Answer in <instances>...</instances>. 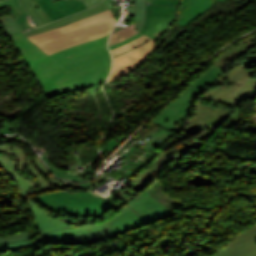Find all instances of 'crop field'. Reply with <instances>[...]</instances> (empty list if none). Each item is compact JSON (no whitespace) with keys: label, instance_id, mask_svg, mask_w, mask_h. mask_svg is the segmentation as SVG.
I'll return each mask as SVG.
<instances>
[{"label":"crop field","instance_id":"8a807250","mask_svg":"<svg viewBox=\"0 0 256 256\" xmlns=\"http://www.w3.org/2000/svg\"><path fill=\"white\" fill-rule=\"evenodd\" d=\"M109 36V35H108ZM108 36L48 56L22 33L9 36L48 98L95 85L111 67Z\"/></svg>","mask_w":256,"mask_h":256},{"label":"crop field","instance_id":"ac0d7876","mask_svg":"<svg viewBox=\"0 0 256 256\" xmlns=\"http://www.w3.org/2000/svg\"><path fill=\"white\" fill-rule=\"evenodd\" d=\"M251 74V70L236 65L229 71L227 85L209 89L199 96L195 102V114L189 119L187 128L131 179L128 185L140 191L147 188L164 165L183 159L185 153L204 146L231 113L222 106L203 107L201 99L215 103L221 101L222 104L232 103L234 107L244 100L254 99L256 80L252 79Z\"/></svg>","mask_w":256,"mask_h":256},{"label":"crop field","instance_id":"34b2d1b8","mask_svg":"<svg viewBox=\"0 0 256 256\" xmlns=\"http://www.w3.org/2000/svg\"><path fill=\"white\" fill-rule=\"evenodd\" d=\"M116 23L111 10L61 28L28 37L48 55L82 42L108 35Z\"/></svg>","mask_w":256,"mask_h":256},{"label":"crop field","instance_id":"412701ff","mask_svg":"<svg viewBox=\"0 0 256 256\" xmlns=\"http://www.w3.org/2000/svg\"><path fill=\"white\" fill-rule=\"evenodd\" d=\"M36 198L57 214L93 219L106 216L116 202L100 199L88 191H54L38 195Z\"/></svg>","mask_w":256,"mask_h":256},{"label":"crop field","instance_id":"f4fd0767","mask_svg":"<svg viewBox=\"0 0 256 256\" xmlns=\"http://www.w3.org/2000/svg\"><path fill=\"white\" fill-rule=\"evenodd\" d=\"M204 74L194 79L188 86L187 91L178 99L172 101L159 114L150 121L161 125L178 134L183 124V119L190 112L192 99L213 83L223 82L225 72L212 65Z\"/></svg>","mask_w":256,"mask_h":256},{"label":"crop field","instance_id":"dd49c442","mask_svg":"<svg viewBox=\"0 0 256 256\" xmlns=\"http://www.w3.org/2000/svg\"><path fill=\"white\" fill-rule=\"evenodd\" d=\"M27 203L34 216V224L42 235L33 238L38 243L76 244L73 236L108 229L106 223L91 226H72L64 220L55 218L42 209L32 199Z\"/></svg>","mask_w":256,"mask_h":256},{"label":"crop field","instance_id":"e52e79f7","mask_svg":"<svg viewBox=\"0 0 256 256\" xmlns=\"http://www.w3.org/2000/svg\"><path fill=\"white\" fill-rule=\"evenodd\" d=\"M172 212L161 202L142 193L122 208L120 214L106 223L118 236L140 225L155 222Z\"/></svg>","mask_w":256,"mask_h":256},{"label":"crop field","instance_id":"d8731c3e","mask_svg":"<svg viewBox=\"0 0 256 256\" xmlns=\"http://www.w3.org/2000/svg\"><path fill=\"white\" fill-rule=\"evenodd\" d=\"M180 0H146V22L140 32L158 40L175 21Z\"/></svg>","mask_w":256,"mask_h":256},{"label":"crop field","instance_id":"5a996713","mask_svg":"<svg viewBox=\"0 0 256 256\" xmlns=\"http://www.w3.org/2000/svg\"><path fill=\"white\" fill-rule=\"evenodd\" d=\"M154 47L155 41L151 40L122 56L114 58L109 81L119 79L142 65L149 57L150 53L154 50Z\"/></svg>","mask_w":256,"mask_h":256},{"label":"crop field","instance_id":"3316defc","mask_svg":"<svg viewBox=\"0 0 256 256\" xmlns=\"http://www.w3.org/2000/svg\"><path fill=\"white\" fill-rule=\"evenodd\" d=\"M4 138H7L9 140L23 142L32 152L33 156H31L27 162V165L30 167L28 171L32 173L33 176L37 177L39 179L40 187L37 191V193L57 189V188H64L68 187L69 185L55 179L51 173L48 171V169L44 166L40 158L37 156V154L34 152V150L20 137L18 136H2Z\"/></svg>","mask_w":256,"mask_h":256},{"label":"crop field","instance_id":"28ad6ade","mask_svg":"<svg viewBox=\"0 0 256 256\" xmlns=\"http://www.w3.org/2000/svg\"><path fill=\"white\" fill-rule=\"evenodd\" d=\"M231 256H256V223L229 243Z\"/></svg>","mask_w":256,"mask_h":256},{"label":"crop field","instance_id":"d1516ede","mask_svg":"<svg viewBox=\"0 0 256 256\" xmlns=\"http://www.w3.org/2000/svg\"><path fill=\"white\" fill-rule=\"evenodd\" d=\"M213 0H182V5L179 10L178 25L184 27L196 17L200 16L205 10H207Z\"/></svg>","mask_w":256,"mask_h":256},{"label":"crop field","instance_id":"22f410ed","mask_svg":"<svg viewBox=\"0 0 256 256\" xmlns=\"http://www.w3.org/2000/svg\"><path fill=\"white\" fill-rule=\"evenodd\" d=\"M106 10H109V7L107 6L105 1L103 0L99 5L93 7L89 10L83 11L79 14L72 15V16H69V17H66V18H63V19H60V20H57V21H55L51 24H48V25H45V26H42V27H39V28H35V29L29 30L27 32H23V34L26 37L31 36V35H35V34L44 32V31L52 29V28H56V27H60L62 25L70 24L72 22L78 21V20H80L82 18H85L87 16L97 14V13H100V12H103V11H106Z\"/></svg>","mask_w":256,"mask_h":256},{"label":"crop field","instance_id":"cbeb9de0","mask_svg":"<svg viewBox=\"0 0 256 256\" xmlns=\"http://www.w3.org/2000/svg\"><path fill=\"white\" fill-rule=\"evenodd\" d=\"M14 162L7 156H0V169L4 171L18 186L23 197L30 196V190L35 186L30 181L22 178L14 170Z\"/></svg>","mask_w":256,"mask_h":256},{"label":"crop field","instance_id":"5142ce71","mask_svg":"<svg viewBox=\"0 0 256 256\" xmlns=\"http://www.w3.org/2000/svg\"><path fill=\"white\" fill-rule=\"evenodd\" d=\"M11 5L19 29L26 31L35 27L20 0H0V8Z\"/></svg>","mask_w":256,"mask_h":256},{"label":"crop field","instance_id":"d9b57169","mask_svg":"<svg viewBox=\"0 0 256 256\" xmlns=\"http://www.w3.org/2000/svg\"><path fill=\"white\" fill-rule=\"evenodd\" d=\"M28 238L30 237L26 231L10 235L7 237H0V252L11 251L22 248L24 246L34 245L35 243H33Z\"/></svg>","mask_w":256,"mask_h":256},{"label":"crop field","instance_id":"733c2abd","mask_svg":"<svg viewBox=\"0 0 256 256\" xmlns=\"http://www.w3.org/2000/svg\"><path fill=\"white\" fill-rule=\"evenodd\" d=\"M139 33L135 30V23L128 25L126 27H123L122 29L112 33L110 39H109V46L117 43L123 39H126L130 36H133L135 34Z\"/></svg>","mask_w":256,"mask_h":256},{"label":"crop field","instance_id":"4a817a6b","mask_svg":"<svg viewBox=\"0 0 256 256\" xmlns=\"http://www.w3.org/2000/svg\"><path fill=\"white\" fill-rule=\"evenodd\" d=\"M30 14L33 22L35 23L36 27L48 23V21L43 17L41 12L38 10V8L34 5V3L31 0H21Z\"/></svg>","mask_w":256,"mask_h":256},{"label":"crop field","instance_id":"bc2a9ffb","mask_svg":"<svg viewBox=\"0 0 256 256\" xmlns=\"http://www.w3.org/2000/svg\"><path fill=\"white\" fill-rule=\"evenodd\" d=\"M136 30L140 31L145 22V0L135 2Z\"/></svg>","mask_w":256,"mask_h":256},{"label":"crop field","instance_id":"214f88e0","mask_svg":"<svg viewBox=\"0 0 256 256\" xmlns=\"http://www.w3.org/2000/svg\"><path fill=\"white\" fill-rule=\"evenodd\" d=\"M128 137L122 136L120 138H117L113 141L108 142L102 149L101 154H103L105 157H108L110 154H112Z\"/></svg>","mask_w":256,"mask_h":256},{"label":"crop field","instance_id":"92a150f3","mask_svg":"<svg viewBox=\"0 0 256 256\" xmlns=\"http://www.w3.org/2000/svg\"><path fill=\"white\" fill-rule=\"evenodd\" d=\"M148 39H150V38L145 36V35H143V36H141V37H139V38H137V39L127 43V44H124L122 46H119V47L111 50V53L114 56V55H116V54H118L120 52H123L125 50L130 49V48H133V47L137 46L138 44H140V43H142V42H144V41H146Z\"/></svg>","mask_w":256,"mask_h":256},{"label":"crop field","instance_id":"dafd665d","mask_svg":"<svg viewBox=\"0 0 256 256\" xmlns=\"http://www.w3.org/2000/svg\"><path fill=\"white\" fill-rule=\"evenodd\" d=\"M117 196L123 198V200H124V202L119 205L120 209H121L122 207H124L126 204H128L133 198H135L138 195L126 187L122 191L117 192Z\"/></svg>","mask_w":256,"mask_h":256},{"label":"crop field","instance_id":"00972430","mask_svg":"<svg viewBox=\"0 0 256 256\" xmlns=\"http://www.w3.org/2000/svg\"><path fill=\"white\" fill-rule=\"evenodd\" d=\"M109 178L101 175L99 176L98 178L94 179L93 181H90V182H86V183H78V184H74V183H71L73 185H77V186H83L85 188L87 187H92L94 185H97L98 183L102 182L103 180H108Z\"/></svg>","mask_w":256,"mask_h":256},{"label":"crop field","instance_id":"a9b5d70f","mask_svg":"<svg viewBox=\"0 0 256 256\" xmlns=\"http://www.w3.org/2000/svg\"><path fill=\"white\" fill-rule=\"evenodd\" d=\"M0 21L2 22V24L10 25V26H13V27L17 28L12 13L1 17Z\"/></svg>","mask_w":256,"mask_h":256},{"label":"crop field","instance_id":"4177f3b9","mask_svg":"<svg viewBox=\"0 0 256 256\" xmlns=\"http://www.w3.org/2000/svg\"><path fill=\"white\" fill-rule=\"evenodd\" d=\"M4 125L5 127L2 128V126L0 125V135L1 134H4V133H11V134H14L12 129H11V126L10 124L4 122Z\"/></svg>","mask_w":256,"mask_h":256},{"label":"crop field","instance_id":"730fd06b","mask_svg":"<svg viewBox=\"0 0 256 256\" xmlns=\"http://www.w3.org/2000/svg\"><path fill=\"white\" fill-rule=\"evenodd\" d=\"M141 35H143V34L139 33V34H137V35H135V36H133V37H130V38L126 39V40H123V41H121V42H119V43H117V44H114V45L110 46L109 48H110V50H111V49H113V48H115V47H117V46H119V45H122V44H124V43H127V42H129V41H131V40H133V39H135V38L141 36Z\"/></svg>","mask_w":256,"mask_h":256},{"label":"crop field","instance_id":"eef30255","mask_svg":"<svg viewBox=\"0 0 256 256\" xmlns=\"http://www.w3.org/2000/svg\"><path fill=\"white\" fill-rule=\"evenodd\" d=\"M212 256H229L227 246H225L224 248H222L221 250H219L217 253H215Z\"/></svg>","mask_w":256,"mask_h":256},{"label":"crop field","instance_id":"ae1a2a85","mask_svg":"<svg viewBox=\"0 0 256 256\" xmlns=\"http://www.w3.org/2000/svg\"><path fill=\"white\" fill-rule=\"evenodd\" d=\"M101 0H83V3L86 5L87 8L96 5Z\"/></svg>","mask_w":256,"mask_h":256},{"label":"crop field","instance_id":"d3111659","mask_svg":"<svg viewBox=\"0 0 256 256\" xmlns=\"http://www.w3.org/2000/svg\"><path fill=\"white\" fill-rule=\"evenodd\" d=\"M255 60H256V58H253V59H245V60H243V61L241 62V64H239V65L248 68V67H247V64H249V63H251V62H253V61H255ZM254 66H255V65H254ZM254 66L250 67L249 69L253 68Z\"/></svg>","mask_w":256,"mask_h":256},{"label":"crop field","instance_id":"750c4746","mask_svg":"<svg viewBox=\"0 0 256 256\" xmlns=\"http://www.w3.org/2000/svg\"><path fill=\"white\" fill-rule=\"evenodd\" d=\"M33 2L35 3V5L40 9V11L43 13V15L45 16V18L51 22V20L47 17V15L44 13V11L41 9V7L37 4V2L35 0H33Z\"/></svg>","mask_w":256,"mask_h":256},{"label":"crop field","instance_id":"bd1437ed","mask_svg":"<svg viewBox=\"0 0 256 256\" xmlns=\"http://www.w3.org/2000/svg\"><path fill=\"white\" fill-rule=\"evenodd\" d=\"M134 15V9L129 8V15L126 16V21L130 20V16Z\"/></svg>","mask_w":256,"mask_h":256},{"label":"crop field","instance_id":"1d83c4d3","mask_svg":"<svg viewBox=\"0 0 256 256\" xmlns=\"http://www.w3.org/2000/svg\"><path fill=\"white\" fill-rule=\"evenodd\" d=\"M219 1H224V0H219Z\"/></svg>","mask_w":256,"mask_h":256},{"label":"crop field","instance_id":"120bbe31","mask_svg":"<svg viewBox=\"0 0 256 256\" xmlns=\"http://www.w3.org/2000/svg\"><path fill=\"white\" fill-rule=\"evenodd\" d=\"M53 1H56V0H53ZM81 1V0H80Z\"/></svg>","mask_w":256,"mask_h":256}]
</instances>
